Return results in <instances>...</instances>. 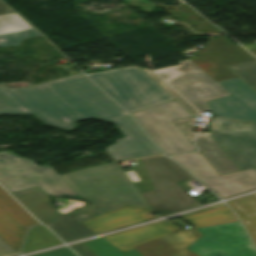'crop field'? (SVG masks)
Masks as SVG:
<instances>
[{
	"mask_svg": "<svg viewBox=\"0 0 256 256\" xmlns=\"http://www.w3.org/2000/svg\"><path fill=\"white\" fill-rule=\"evenodd\" d=\"M33 256H76L67 247L33 255Z\"/></svg>",
	"mask_w": 256,
	"mask_h": 256,
	"instance_id": "28",
	"label": "crop field"
},
{
	"mask_svg": "<svg viewBox=\"0 0 256 256\" xmlns=\"http://www.w3.org/2000/svg\"><path fill=\"white\" fill-rule=\"evenodd\" d=\"M0 114H34L43 123L75 129L72 122L96 117L114 122L125 138L104 151L116 162L162 154L135 121L83 74L39 86L0 85Z\"/></svg>",
	"mask_w": 256,
	"mask_h": 256,
	"instance_id": "1",
	"label": "crop field"
},
{
	"mask_svg": "<svg viewBox=\"0 0 256 256\" xmlns=\"http://www.w3.org/2000/svg\"><path fill=\"white\" fill-rule=\"evenodd\" d=\"M173 158L223 198L256 188L255 169L219 175L201 153Z\"/></svg>",
	"mask_w": 256,
	"mask_h": 256,
	"instance_id": "10",
	"label": "crop field"
},
{
	"mask_svg": "<svg viewBox=\"0 0 256 256\" xmlns=\"http://www.w3.org/2000/svg\"><path fill=\"white\" fill-rule=\"evenodd\" d=\"M195 144L219 174L239 171L236 165L210 136V132L200 133L195 139Z\"/></svg>",
	"mask_w": 256,
	"mask_h": 256,
	"instance_id": "19",
	"label": "crop field"
},
{
	"mask_svg": "<svg viewBox=\"0 0 256 256\" xmlns=\"http://www.w3.org/2000/svg\"><path fill=\"white\" fill-rule=\"evenodd\" d=\"M147 75H149L153 80H155L161 87H163L170 95H172L177 101H179L183 106H185L190 112H192L195 116L200 115L196 110H194L188 103H186L179 95H177L174 91H172L168 86H166L160 79H158L151 70L147 68L141 69ZM191 113V114H192ZM192 114V115H193Z\"/></svg>",
	"mask_w": 256,
	"mask_h": 256,
	"instance_id": "26",
	"label": "crop field"
},
{
	"mask_svg": "<svg viewBox=\"0 0 256 256\" xmlns=\"http://www.w3.org/2000/svg\"><path fill=\"white\" fill-rule=\"evenodd\" d=\"M153 191L142 193L149 208L162 216L200 205L176 182L192 178L185 170L163 156L141 160Z\"/></svg>",
	"mask_w": 256,
	"mask_h": 256,
	"instance_id": "4",
	"label": "crop field"
},
{
	"mask_svg": "<svg viewBox=\"0 0 256 256\" xmlns=\"http://www.w3.org/2000/svg\"><path fill=\"white\" fill-rule=\"evenodd\" d=\"M154 72L199 112L210 111L206 101L230 95L189 60L181 61L177 66L154 70Z\"/></svg>",
	"mask_w": 256,
	"mask_h": 256,
	"instance_id": "7",
	"label": "crop field"
},
{
	"mask_svg": "<svg viewBox=\"0 0 256 256\" xmlns=\"http://www.w3.org/2000/svg\"><path fill=\"white\" fill-rule=\"evenodd\" d=\"M173 222H176L183 227L188 225L181 219ZM200 237H202V235L191 227L135 246L134 248L142 256H197L188 251L186 247Z\"/></svg>",
	"mask_w": 256,
	"mask_h": 256,
	"instance_id": "14",
	"label": "crop field"
},
{
	"mask_svg": "<svg viewBox=\"0 0 256 256\" xmlns=\"http://www.w3.org/2000/svg\"><path fill=\"white\" fill-rule=\"evenodd\" d=\"M61 242L44 226L31 228L29 236L23 246V253L60 244Z\"/></svg>",
	"mask_w": 256,
	"mask_h": 256,
	"instance_id": "23",
	"label": "crop field"
},
{
	"mask_svg": "<svg viewBox=\"0 0 256 256\" xmlns=\"http://www.w3.org/2000/svg\"><path fill=\"white\" fill-rule=\"evenodd\" d=\"M132 115L167 156L197 150L172 122L176 119L194 117L175 99Z\"/></svg>",
	"mask_w": 256,
	"mask_h": 256,
	"instance_id": "6",
	"label": "crop field"
},
{
	"mask_svg": "<svg viewBox=\"0 0 256 256\" xmlns=\"http://www.w3.org/2000/svg\"><path fill=\"white\" fill-rule=\"evenodd\" d=\"M254 196L256 197V194H254Z\"/></svg>",
	"mask_w": 256,
	"mask_h": 256,
	"instance_id": "33",
	"label": "crop field"
},
{
	"mask_svg": "<svg viewBox=\"0 0 256 256\" xmlns=\"http://www.w3.org/2000/svg\"><path fill=\"white\" fill-rule=\"evenodd\" d=\"M194 228L237 221L233 212L226 206L182 217Z\"/></svg>",
	"mask_w": 256,
	"mask_h": 256,
	"instance_id": "21",
	"label": "crop field"
},
{
	"mask_svg": "<svg viewBox=\"0 0 256 256\" xmlns=\"http://www.w3.org/2000/svg\"><path fill=\"white\" fill-rule=\"evenodd\" d=\"M242 220L246 230L256 244V198L251 195L228 202Z\"/></svg>",
	"mask_w": 256,
	"mask_h": 256,
	"instance_id": "22",
	"label": "crop field"
},
{
	"mask_svg": "<svg viewBox=\"0 0 256 256\" xmlns=\"http://www.w3.org/2000/svg\"><path fill=\"white\" fill-rule=\"evenodd\" d=\"M224 205H225V204L218 205V206H214V207H210V208H206V209H202V210H199V211H196V212H193V213H189V214H186V215L194 214V213H197V212L209 210V209L216 208V207H220V206H224ZM186 215H183V216H186ZM180 217H182V216H180Z\"/></svg>",
	"mask_w": 256,
	"mask_h": 256,
	"instance_id": "32",
	"label": "crop field"
},
{
	"mask_svg": "<svg viewBox=\"0 0 256 256\" xmlns=\"http://www.w3.org/2000/svg\"><path fill=\"white\" fill-rule=\"evenodd\" d=\"M71 248L79 255V256H96L88 247H86L83 243L71 246Z\"/></svg>",
	"mask_w": 256,
	"mask_h": 256,
	"instance_id": "29",
	"label": "crop field"
},
{
	"mask_svg": "<svg viewBox=\"0 0 256 256\" xmlns=\"http://www.w3.org/2000/svg\"><path fill=\"white\" fill-rule=\"evenodd\" d=\"M196 58L189 59L214 81L236 77L226 67L254 60L239 45H233L225 37L210 39L206 46L196 52Z\"/></svg>",
	"mask_w": 256,
	"mask_h": 256,
	"instance_id": "11",
	"label": "crop field"
},
{
	"mask_svg": "<svg viewBox=\"0 0 256 256\" xmlns=\"http://www.w3.org/2000/svg\"><path fill=\"white\" fill-rule=\"evenodd\" d=\"M87 244L99 256H140L134 249L123 253L103 238L90 241Z\"/></svg>",
	"mask_w": 256,
	"mask_h": 256,
	"instance_id": "24",
	"label": "crop field"
},
{
	"mask_svg": "<svg viewBox=\"0 0 256 256\" xmlns=\"http://www.w3.org/2000/svg\"><path fill=\"white\" fill-rule=\"evenodd\" d=\"M38 220L48 225L51 223L55 209L50 197L38 187L12 193Z\"/></svg>",
	"mask_w": 256,
	"mask_h": 256,
	"instance_id": "18",
	"label": "crop field"
},
{
	"mask_svg": "<svg viewBox=\"0 0 256 256\" xmlns=\"http://www.w3.org/2000/svg\"><path fill=\"white\" fill-rule=\"evenodd\" d=\"M149 210L124 206L103 215L82 222L85 226L99 234L132 223L152 218ZM156 217V216H154Z\"/></svg>",
	"mask_w": 256,
	"mask_h": 256,
	"instance_id": "16",
	"label": "crop field"
},
{
	"mask_svg": "<svg viewBox=\"0 0 256 256\" xmlns=\"http://www.w3.org/2000/svg\"><path fill=\"white\" fill-rule=\"evenodd\" d=\"M61 177L89 203L70 213L80 222L124 205L148 209L138 190L115 163L67 173Z\"/></svg>",
	"mask_w": 256,
	"mask_h": 256,
	"instance_id": "2",
	"label": "crop field"
},
{
	"mask_svg": "<svg viewBox=\"0 0 256 256\" xmlns=\"http://www.w3.org/2000/svg\"><path fill=\"white\" fill-rule=\"evenodd\" d=\"M181 229L182 228L172 223L163 221L112 236L104 237V239L123 252H126L132 249L135 245L156 239Z\"/></svg>",
	"mask_w": 256,
	"mask_h": 256,
	"instance_id": "15",
	"label": "crop field"
},
{
	"mask_svg": "<svg viewBox=\"0 0 256 256\" xmlns=\"http://www.w3.org/2000/svg\"><path fill=\"white\" fill-rule=\"evenodd\" d=\"M64 242L95 235L69 214H58L54 223L49 227Z\"/></svg>",
	"mask_w": 256,
	"mask_h": 256,
	"instance_id": "20",
	"label": "crop field"
},
{
	"mask_svg": "<svg viewBox=\"0 0 256 256\" xmlns=\"http://www.w3.org/2000/svg\"><path fill=\"white\" fill-rule=\"evenodd\" d=\"M218 83L232 96L207 102L212 114L256 122V92L239 78Z\"/></svg>",
	"mask_w": 256,
	"mask_h": 256,
	"instance_id": "13",
	"label": "crop field"
},
{
	"mask_svg": "<svg viewBox=\"0 0 256 256\" xmlns=\"http://www.w3.org/2000/svg\"><path fill=\"white\" fill-rule=\"evenodd\" d=\"M227 68L256 91V60Z\"/></svg>",
	"mask_w": 256,
	"mask_h": 256,
	"instance_id": "25",
	"label": "crop field"
},
{
	"mask_svg": "<svg viewBox=\"0 0 256 256\" xmlns=\"http://www.w3.org/2000/svg\"><path fill=\"white\" fill-rule=\"evenodd\" d=\"M0 183L10 192L38 186L55 197L82 198L48 165L38 167L33 161L0 152Z\"/></svg>",
	"mask_w": 256,
	"mask_h": 256,
	"instance_id": "5",
	"label": "crop field"
},
{
	"mask_svg": "<svg viewBox=\"0 0 256 256\" xmlns=\"http://www.w3.org/2000/svg\"><path fill=\"white\" fill-rule=\"evenodd\" d=\"M246 49L251 50V49H255L256 45L255 44H247V45H243ZM251 53L256 57V50L251 51Z\"/></svg>",
	"mask_w": 256,
	"mask_h": 256,
	"instance_id": "30",
	"label": "crop field"
},
{
	"mask_svg": "<svg viewBox=\"0 0 256 256\" xmlns=\"http://www.w3.org/2000/svg\"><path fill=\"white\" fill-rule=\"evenodd\" d=\"M38 223L0 187V256L20 254L28 227Z\"/></svg>",
	"mask_w": 256,
	"mask_h": 256,
	"instance_id": "12",
	"label": "crop field"
},
{
	"mask_svg": "<svg viewBox=\"0 0 256 256\" xmlns=\"http://www.w3.org/2000/svg\"><path fill=\"white\" fill-rule=\"evenodd\" d=\"M195 118L191 119H182L173 121L184 133L185 135L192 141L193 138L196 136L197 132H192L194 125L193 122Z\"/></svg>",
	"mask_w": 256,
	"mask_h": 256,
	"instance_id": "27",
	"label": "crop field"
},
{
	"mask_svg": "<svg viewBox=\"0 0 256 256\" xmlns=\"http://www.w3.org/2000/svg\"><path fill=\"white\" fill-rule=\"evenodd\" d=\"M8 8L3 5L1 2H0V14H4V13H7L8 12Z\"/></svg>",
	"mask_w": 256,
	"mask_h": 256,
	"instance_id": "31",
	"label": "crop field"
},
{
	"mask_svg": "<svg viewBox=\"0 0 256 256\" xmlns=\"http://www.w3.org/2000/svg\"><path fill=\"white\" fill-rule=\"evenodd\" d=\"M40 34L18 14L0 15V47L19 44L22 39Z\"/></svg>",
	"mask_w": 256,
	"mask_h": 256,
	"instance_id": "17",
	"label": "crop field"
},
{
	"mask_svg": "<svg viewBox=\"0 0 256 256\" xmlns=\"http://www.w3.org/2000/svg\"><path fill=\"white\" fill-rule=\"evenodd\" d=\"M87 75L130 113L174 99L138 67Z\"/></svg>",
	"mask_w": 256,
	"mask_h": 256,
	"instance_id": "3",
	"label": "crop field"
},
{
	"mask_svg": "<svg viewBox=\"0 0 256 256\" xmlns=\"http://www.w3.org/2000/svg\"><path fill=\"white\" fill-rule=\"evenodd\" d=\"M203 237L187 247L199 256H256L239 222L198 228Z\"/></svg>",
	"mask_w": 256,
	"mask_h": 256,
	"instance_id": "9",
	"label": "crop field"
},
{
	"mask_svg": "<svg viewBox=\"0 0 256 256\" xmlns=\"http://www.w3.org/2000/svg\"><path fill=\"white\" fill-rule=\"evenodd\" d=\"M211 135L240 170L256 169V123L212 117Z\"/></svg>",
	"mask_w": 256,
	"mask_h": 256,
	"instance_id": "8",
	"label": "crop field"
}]
</instances>
